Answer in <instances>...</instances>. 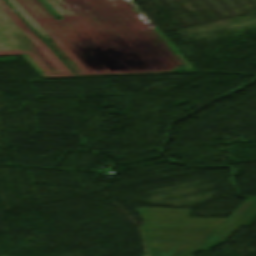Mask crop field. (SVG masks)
Returning a JSON list of instances; mask_svg holds the SVG:
<instances>
[{"instance_id":"obj_2","label":"crop field","mask_w":256,"mask_h":256,"mask_svg":"<svg viewBox=\"0 0 256 256\" xmlns=\"http://www.w3.org/2000/svg\"><path fill=\"white\" fill-rule=\"evenodd\" d=\"M256 219V200L244 201L236 211L196 250L209 251L224 242L241 225H250ZM222 233L224 235L220 236ZM210 243L208 246H206Z\"/></svg>"},{"instance_id":"obj_1","label":"crop field","mask_w":256,"mask_h":256,"mask_svg":"<svg viewBox=\"0 0 256 256\" xmlns=\"http://www.w3.org/2000/svg\"><path fill=\"white\" fill-rule=\"evenodd\" d=\"M145 240L204 241L225 219H189V210L136 209Z\"/></svg>"},{"instance_id":"obj_3","label":"crop field","mask_w":256,"mask_h":256,"mask_svg":"<svg viewBox=\"0 0 256 256\" xmlns=\"http://www.w3.org/2000/svg\"><path fill=\"white\" fill-rule=\"evenodd\" d=\"M201 243L146 241L149 256H192Z\"/></svg>"}]
</instances>
